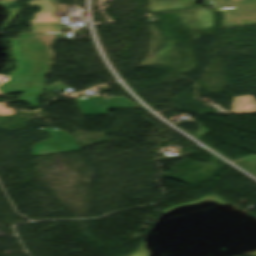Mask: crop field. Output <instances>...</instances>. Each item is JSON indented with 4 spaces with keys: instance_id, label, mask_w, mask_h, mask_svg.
<instances>
[{
    "instance_id": "8a807250",
    "label": "crop field",
    "mask_w": 256,
    "mask_h": 256,
    "mask_svg": "<svg viewBox=\"0 0 256 256\" xmlns=\"http://www.w3.org/2000/svg\"><path fill=\"white\" fill-rule=\"evenodd\" d=\"M55 33H59V32H55Z\"/></svg>"
}]
</instances>
